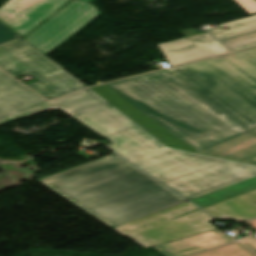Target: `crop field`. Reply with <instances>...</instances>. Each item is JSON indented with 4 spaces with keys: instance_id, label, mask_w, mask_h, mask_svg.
I'll return each instance as SVG.
<instances>
[{
    "instance_id": "5",
    "label": "crop field",
    "mask_w": 256,
    "mask_h": 256,
    "mask_svg": "<svg viewBox=\"0 0 256 256\" xmlns=\"http://www.w3.org/2000/svg\"><path fill=\"white\" fill-rule=\"evenodd\" d=\"M0 68L13 77L30 73L39 81L27 86L46 99L86 88L22 38L0 44Z\"/></svg>"
},
{
    "instance_id": "2",
    "label": "crop field",
    "mask_w": 256,
    "mask_h": 256,
    "mask_svg": "<svg viewBox=\"0 0 256 256\" xmlns=\"http://www.w3.org/2000/svg\"><path fill=\"white\" fill-rule=\"evenodd\" d=\"M39 182L111 228L186 202L115 154Z\"/></svg>"
},
{
    "instance_id": "14",
    "label": "crop field",
    "mask_w": 256,
    "mask_h": 256,
    "mask_svg": "<svg viewBox=\"0 0 256 256\" xmlns=\"http://www.w3.org/2000/svg\"><path fill=\"white\" fill-rule=\"evenodd\" d=\"M203 209L218 219H235L240 222L256 217V211L236 198H231Z\"/></svg>"
},
{
    "instance_id": "19",
    "label": "crop field",
    "mask_w": 256,
    "mask_h": 256,
    "mask_svg": "<svg viewBox=\"0 0 256 256\" xmlns=\"http://www.w3.org/2000/svg\"><path fill=\"white\" fill-rule=\"evenodd\" d=\"M238 198H242V199H246V200H250V201H256V190L237 196Z\"/></svg>"
},
{
    "instance_id": "25",
    "label": "crop field",
    "mask_w": 256,
    "mask_h": 256,
    "mask_svg": "<svg viewBox=\"0 0 256 256\" xmlns=\"http://www.w3.org/2000/svg\"><path fill=\"white\" fill-rule=\"evenodd\" d=\"M252 131L256 133V129H254V130H252Z\"/></svg>"
},
{
    "instance_id": "17",
    "label": "crop field",
    "mask_w": 256,
    "mask_h": 256,
    "mask_svg": "<svg viewBox=\"0 0 256 256\" xmlns=\"http://www.w3.org/2000/svg\"><path fill=\"white\" fill-rule=\"evenodd\" d=\"M18 38V35L0 23V43Z\"/></svg>"
},
{
    "instance_id": "9",
    "label": "crop field",
    "mask_w": 256,
    "mask_h": 256,
    "mask_svg": "<svg viewBox=\"0 0 256 256\" xmlns=\"http://www.w3.org/2000/svg\"><path fill=\"white\" fill-rule=\"evenodd\" d=\"M69 0H9L0 7V20L22 37Z\"/></svg>"
},
{
    "instance_id": "18",
    "label": "crop field",
    "mask_w": 256,
    "mask_h": 256,
    "mask_svg": "<svg viewBox=\"0 0 256 256\" xmlns=\"http://www.w3.org/2000/svg\"><path fill=\"white\" fill-rule=\"evenodd\" d=\"M249 14L256 12V0H235Z\"/></svg>"
},
{
    "instance_id": "13",
    "label": "crop field",
    "mask_w": 256,
    "mask_h": 256,
    "mask_svg": "<svg viewBox=\"0 0 256 256\" xmlns=\"http://www.w3.org/2000/svg\"><path fill=\"white\" fill-rule=\"evenodd\" d=\"M203 152L241 160L256 153V134L249 131Z\"/></svg>"
},
{
    "instance_id": "16",
    "label": "crop field",
    "mask_w": 256,
    "mask_h": 256,
    "mask_svg": "<svg viewBox=\"0 0 256 256\" xmlns=\"http://www.w3.org/2000/svg\"><path fill=\"white\" fill-rule=\"evenodd\" d=\"M195 256H256L239 243L235 242L211 251H207Z\"/></svg>"
},
{
    "instance_id": "22",
    "label": "crop field",
    "mask_w": 256,
    "mask_h": 256,
    "mask_svg": "<svg viewBox=\"0 0 256 256\" xmlns=\"http://www.w3.org/2000/svg\"><path fill=\"white\" fill-rule=\"evenodd\" d=\"M241 200V199H239ZM242 202H244L245 204H247L248 206H250L251 208H253L254 210H256V205L252 202L249 201H245V200H241Z\"/></svg>"
},
{
    "instance_id": "15",
    "label": "crop field",
    "mask_w": 256,
    "mask_h": 256,
    "mask_svg": "<svg viewBox=\"0 0 256 256\" xmlns=\"http://www.w3.org/2000/svg\"><path fill=\"white\" fill-rule=\"evenodd\" d=\"M256 189V178L232 185L230 187L206 194L204 196L190 200L195 203L198 202L199 207L203 208L211 204L223 201L225 199L249 192Z\"/></svg>"
},
{
    "instance_id": "8",
    "label": "crop field",
    "mask_w": 256,
    "mask_h": 256,
    "mask_svg": "<svg viewBox=\"0 0 256 256\" xmlns=\"http://www.w3.org/2000/svg\"><path fill=\"white\" fill-rule=\"evenodd\" d=\"M100 14L94 5L73 0L24 39L46 55Z\"/></svg>"
},
{
    "instance_id": "11",
    "label": "crop field",
    "mask_w": 256,
    "mask_h": 256,
    "mask_svg": "<svg viewBox=\"0 0 256 256\" xmlns=\"http://www.w3.org/2000/svg\"><path fill=\"white\" fill-rule=\"evenodd\" d=\"M230 27V30H210L224 46L230 51H235L256 45V15L222 24V27Z\"/></svg>"
},
{
    "instance_id": "7",
    "label": "crop field",
    "mask_w": 256,
    "mask_h": 256,
    "mask_svg": "<svg viewBox=\"0 0 256 256\" xmlns=\"http://www.w3.org/2000/svg\"><path fill=\"white\" fill-rule=\"evenodd\" d=\"M195 210L186 202L113 229L145 248L216 229L209 224L213 218Z\"/></svg>"
},
{
    "instance_id": "24",
    "label": "crop field",
    "mask_w": 256,
    "mask_h": 256,
    "mask_svg": "<svg viewBox=\"0 0 256 256\" xmlns=\"http://www.w3.org/2000/svg\"><path fill=\"white\" fill-rule=\"evenodd\" d=\"M81 1H84V2L89 3V2L92 1V0H81Z\"/></svg>"
},
{
    "instance_id": "23",
    "label": "crop field",
    "mask_w": 256,
    "mask_h": 256,
    "mask_svg": "<svg viewBox=\"0 0 256 256\" xmlns=\"http://www.w3.org/2000/svg\"><path fill=\"white\" fill-rule=\"evenodd\" d=\"M244 161L256 163V155H254V156H252V157H249V158L245 159Z\"/></svg>"
},
{
    "instance_id": "21",
    "label": "crop field",
    "mask_w": 256,
    "mask_h": 256,
    "mask_svg": "<svg viewBox=\"0 0 256 256\" xmlns=\"http://www.w3.org/2000/svg\"><path fill=\"white\" fill-rule=\"evenodd\" d=\"M247 225H249L251 228L256 230V220L245 222Z\"/></svg>"
},
{
    "instance_id": "10",
    "label": "crop field",
    "mask_w": 256,
    "mask_h": 256,
    "mask_svg": "<svg viewBox=\"0 0 256 256\" xmlns=\"http://www.w3.org/2000/svg\"><path fill=\"white\" fill-rule=\"evenodd\" d=\"M159 47L171 66L227 52L208 33L160 44Z\"/></svg>"
},
{
    "instance_id": "6",
    "label": "crop field",
    "mask_w": 256,
    "mask_h": 256,
    "mask_svg": "<svg viewBox=\"0 0 256 256\" xmlns=\"http://www.w3.org/2000/svg\"><path fill=\"white\" fill-rule=\"evenodd\" d=\"M106 104L109 103L89 88L47 102L0 71V125L52 109H61L74 117Z\"/></svg>"
},
{
    "instance_id": "4",
    "label": "crop field",
    "mask_w": 256,
    "mask_h": 256,
    "mask_svg": "<svg viewBox=\"0 0 256 256\" xmlns=\"http://www.w3.org/2000/svg\"><path fill=\"white\" fill-rule=\"evenodd\" d=\"M166 70L250 130L256 128V47Z\"/></svg>"
},
{
    "instance_id": "3",
    "label": "crop field",
    "mask_w": 256,
    "mask_h": 256,
    "mask_svg": "<svg viewBox=\"0 0 256 256\" xmlns=\"http://www.w3.org/2000/svg\"><path fill=\"white\" fill-rule=\"evenodd\" d=\"M104 85L197 152L249 131L165 70Z\"/></svg>"
},
{
    "instance_id": "20",
    "label": "crop field",
    "mask_w": 256,
    "mask_h": 256,
    "mask_svg": "<svg viewBox=\"0 0 256 256\" xmlns=\"http://www.w3.org/2000/svg\"><path fill=\"white\" fill-rule=\"evenodd\" d=\"M246 245H248L250 248H252L254 251H256V238H248L243 241Z\"/></svg>"
},
{
    "instance_id": "12",
    "label": "crop field",
    "mask_w": 256,
    "mask_h": 256,
    "mask_svg": "<svg viewBox=\"0 0 256 256\" xmlns=\"http://www.w3.org/2000/svg\"><path fill=\"white\" fill-rule=\"evenodd\" d=\"M230 241L233 240L215 230L154 246V248L167 256H185Z\"/></svg>"
},
{
    "instance_id": "1",
    "label": "crop field",
    "mask_w": 256,
    "mask_h": 256,
    "mask_svg": "<svg viewBox=\"0 0 256 256\" xmlns=\"http://www.w3.org/2000/svg\"><path fill=\"white\" fill-rule=\"evenodd\" d=\"M74 118L188 200L256 176V166L166 147L111 104Z\"/></svg>"
}]
</instances>
